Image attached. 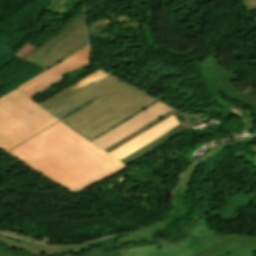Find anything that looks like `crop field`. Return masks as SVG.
<instances>
[{
    "mask_svg": "<svg viewBox=\"0 0 256 256\" xmlns=\"http://www.w3.org/2000/svg\"><path fill=\"white\" fill-rule=\"evenodd\" d=\"M8 154L72 193L123 168L60 122Z\"/></svg>",
    "mask_w": 256,
    "mask_h": 256,
    "instance_id": "obj_1",
    "label": "crop field"
},
{
    "mask_svg": "<svg viewBox=\"0 0 256 256\" xmlns=\"http://www.w3.org/2000/svg\"><path fill=\"white\" fill-rule=\"evenodd\" d=\"M183 231L187 235L177 242L159 238L154 244L123 246L124 256H208L222 249L229 256H252L256 252V237L218 235L204 220L184 227Z\"/></svg>",
    "mask_w": 256,
    "mask_h": 256,
    "instance_id": "obj_2",
    "label": "crop field"
},
{
    "mask_svg": "<svg viewBox=\"0 0 256 256\" xmlns=\"http://www.w3.org/2000/svg\"><path fill=\"white\" fill-rule=\"evenodd\" d=\"M156 101L123 82L62 121L91 141Z\"/></svg>",
    "mask_w": 256,
    "mask_h": 256,
    "instance_id": "obj_3",
    "label": "crop field"
},
{
    "mask_svg": "<svg viewBox=\"0 0 256 256\" xmlns=\"http://www.w3.org/2000/svg\"><path fill=\"white\" fill-rule=\"evenodd\" d=\"M57 121L16 89L0 99V149L6 152Z\"/></svg>",
    "mask_w": 256,
    "mask_h": 256,
    "instance_id": "obj_4",
    "label": "crop field"
},
{
    "mask_svg": "<svg viewBox=\"0 0 256 256\" xmlns=\"http://www.w3.org/2000/svg\"><path fill=\"white\" fill-rule=\"evenodd\" d=\"M120 81L98 69L40 105L61 120L86 103L100 97L121 83Z\"/></svg>",
    "mask_w": 256,
    "mask_h": 256,
    "instance_id": "obj_5",
    "label": "crop field"
},
{
    "mask_svg": "<svg viewBox=\"0 0 256 256\" xmlns=\"http://www.w3.org/2000/svg\"><path fill=\"white\" fill-rule=\"evenodd\" d=\"M87 45L84 19L72 20L27 60L47 69Z\"/></svg>",
    "mask_w": 256,
    "mask_h": 256,
    "instance_id": "obj_6",
    "label": "crop field"
},
{
    "mask_svg": "<svg viewBox=\"0 0 256 256\" xmlns=\"http://www.w3.org/2000/svg\"><path fill=\"white\" fill-rule=\"evenodd\" d=\"M169 110H171V108L158 101L150 107L146 108L145 110L141 111L137 115L117 125L115 128L98 136L92 142L96 143L98 146L104 149L115 141L138 130L142 126L146 125L150 121L154 120L155 118Z\"/></svg>",
    "mask_w": 256,
    "mask_h": 256,
    "instance_id": "obj_7",
    "label": "crop field"
},
{
    "mask_svg": "<svg viewBox=\"0 0 256 256\" xmlns=\"http://www.w3.org/2000/svg\"><path fill=\"white\" fill-rule=\"evenodd\" d=\"M89 63L90 60L88 56V49L85 48L84 50L75 54L74 56L64 61L60 65L40 75L31 82L19 87V89L23 91L28 97H31L43 91L45 88L52 85L57 80L61 79L62 74L69 71H74Z\"/></svg>",
    "mask_w": 256,
    "mask_h": 256,
    "instance_id": "obj_8",
    "label": "crop field"
},
{
    "mask_svg": "<svg viewBox=\"0 0 256 256\" xmlns=\"http://www.w3.org/2000/svg\"><path fill=\"white\" fill-rule=\"evenodd\" d=\"M178 125H180L179 122L172 115L166 120L154 125L152 128L142 132L138 136L124 143L123 145L111 151L110 153L119 160H121L126 156L132 154L133 152L137 151L138 149L149 144L150 142L161 137L162 135L168 133Z\"/></svg>",
    "mask_w": 256,
    "mask_h": 256,
    "instance_id": "obj_9",
    "label": "crop field"
},
{
    "mask_svg": "<svg viewBox=\"0 0 256 256\" xmlns=\"http://www.w3.org/2000/svg\"><path fill=\"white\" fill-rule=\"evenodd\" d=\"M0 243L15 250L26 251V252H30L37 255H40V254L57 255L65 252H77V251H82L88 246H90V244L70 246V247L42 246V245L32 244L30 242L22 241V240L8 237L1 234H0Z\"/></svg>",
    "mask_w": 256,
    "mask_h": 256,
    "instance_id": "obj_10",
    "label": "crop field"
},
{
    "mask_svg": "<svg viewBox=\"0 0 256 256\" xmlns=\"http://www.w3.org/2000/svg\"><path fill=\"white\" fill-rule=\"evenodd\" d=\"M228 145L226 146H219L212 151L208 152L207 154L203 155L199 159L195 160L193 163H191L184 171L178 187H183V188H188L189 182L193 176V173L195 169L200 166L202 163L206 162L212 157L219 156L225 149H227L230 146H237V145H242V144H248L246 140H241L240 142L236 144H232L229 141L226 142Z\"/></svg>",
    "mask_w": 256,
    "mask_h": 256,
    "instance_id": "obj_11",
    "label": "crop field"
},
{
    "mask_svg": "<svg viewBox=\"0 0 256 256\" xmlns=\"http://www.w3.org/2000/svg\"><path fill=\"white\" fill-rule=\"evenodd\" d=\"M162 229H165V226H163L161 224H157L155 226L130 233L127 237H125L121 240H118V244L123 243L127 240L134 241V242L151 240V238L155 236V233L158 230H162Z\"/></svg>",
    "mask_w": 256,
    "mask_h": 256,
    "instance_id": "obj_12",
    "label": "crop field"
},
{
    "mask_svg": "<svg viewBox=\"0 0 256 256\" xmlns=\"http://www.w3.org/2000/svg\"><path fill=\"white\" fill-rule=\"evenodd\" d=\"M171 137H173V136L170 133H168V134L164 135L163 137L157 139L156 141L152 142L151 144L145 146L144 148L140 149L139 151L133 153L132 155L128 156L127 158H125L121 161H123L126 164L131 163V162L139 159L143 155L149 153L150 151L154 150L155 148L161 146L162 144L167 142V140Z\"/></svg>",
    "mask_w": 256,
    "mask_h": 256,
    "instance_id": "obj_13",
    "label": "crop field"
},
{
    "mask_svg": "<svg viewBox=\"0 0 256 256\" xmlns=\"http://www.w3.org/2000/svg\"><path fill=\"white\" fill-rule=\"evenodd\" d=\"M213 98L216 102L223 105L224 107H227V108L235 107V108L241 110L242 111V117L245 120V131L248 132V133H252L253 135H256V125L253 124L254 119H253V117H252V115L249 111H246V110H243L239 107H236L234 104L228 102L227 100H225L221 97L214 96ZM243 111H245L246 113L244 114Z\"/></svg>",
    "mask_w": 256,
    "mask_h": 256,
    "instance_id": "obj_14",
    "label": "crop field"
},
{
    "mask_svg": "<svg viewBox=\"0 0 256 256\" xmlns=\"http://www.w3.org/2000/svg\"><path fill=\"white\" fill-rule=\"evenodd\" d=\"M174 113H175V112H174L173 110H171V111H169V112L163 114L162 116L158 117L157 119H155V120L152 121L151 123L147 124V125L144 126L143 128H141V129H139L138 131H136V132L130 134L129 136H127V137H125V138L119 140L118 142L112 144L111 146L107 147V148L104 149V150H106V151L109 152V151L115 149L116 147H118V146H120L122 143H124L125 141H127V140L133 138L134 136L138 135V134L141 133L142 131H144V130L150 128V127L153 126L154 124H156V123L160 122L161 120H163V119H165V118L171 116V115L174 114Z\"/></svg>",
    "mask_w": 256,
    "mask_h": 256,
    "instance_id": "obj_15",
    "label": "crop field"
},
{
    "mask_svg": "<svg viewBox=\"0 0 256 256\" xmlns=\"http://www.w3.org/2000/svg\"><path fill=\"white\" fill-rule=\"evenodd\" d=\"M120 250H116L113 253H107L99 248L91 249L90 252L84 256H120Z\"/></svg>",
    "mask_w": 256,
    "mask_h": 256,
    "instance_id": "obj_16",
    "label": "crop field"
},
{
    "mask_svg": "<svg viewBox=\"0 0 256 256\" xmlns=\"http://www.w3.org/2000/svg\"><path fill=\"white\" fill-rule=\"evenodd\" d=\"M248 11L256 8V0H242Z\"/></svg>",
    "mask_w": 256,
    "mask_h": 256,
    "instance_id": "obj_17",
    "label": "crop field"
},
{
    "mask_svg": "<svg viewBox=\"0 0 256 256\" xmlns=\"http://www.w3.org/2000/svg\"><path fill=\"white\" fill-rule=\"evenodd\" d=\"M247 162H249L255 169H256V156L255 157H253V158H251L249 161H247Z\"/></svg>",
    "mask_w": 256,
    "mask_h": 256,
    "instance_id": "obj_18",
    "label": "crop field"
},
{
    "mask_svg": "<svg viewBox=\"0 0 256 256\" xmlns=\"http://www.w3.org/2000/svg\"><path fill=\"white\" fill-rule=\"evenodd\" d=\"M211 256H228V255L225 253L224 250H222V251H219V252H217V253H215V254H213Z\"/></svg>",
    "mask_w": 256,
    "mask_h": 256,
    "instance_id": "obj_19",
    "label": "crop field"
},
{
    "mask_svg": "<svg viewBox=\"0 0 256 256\" xmlns=\"http://www.w3.org/2000/svg\"><path fill=\"white\" fill-rule=\"evenodd\" d=\"M0 256H9V255H5V254L0 253ZM67 256H73V255H67Z\"/></svg>",
    "mask_w": 256,
    "mask_h": 256,
    "instance_id": "obj_20",
    "label": "crop field"
},
{
    "mask_svg": "<svg viewBox=\"0 0 256 256\" xmlns=\"http://www.w3.org/2000/svg\"><path fill=\"white\" fill-rule=\"evenodd\" d=\"M255 19V21H256V18H254Z\"/></svg>",
    "mask_w": 256,
    "mask_h": 256,
    "instance_id": "obj_21",
    "label": "crop field"
}]
</instances>
